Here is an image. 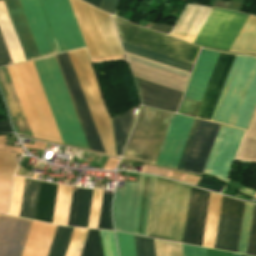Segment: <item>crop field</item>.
<instances>
[{"label": "crop field", "mask_w": 256, "mask_h": 256, "mask_svg": "<svg viewBox=\"0 0 256 256\" xmlns=\"http://www.w3.org/2000/svg\"><path fill=\"white\" fill-rule=\"evenodd\" d=\"M228 3H229V2H227V1L217 0V1L214 2V5H213V6L226 9Z\"/></svg>", "instance_id": "25e5ab78"}, {"label": "crop field", "mask_w": 256, "mask_h": 256, "mask_svg": "<svg viewBox=\"0 0 256 256\" xmlns=\"http://www.w3.org/2000/svg\"><path fill=\"white\" fill-rule=\"evenodd\" d=\"M17 154L0 150V213L7 214L12 175Z\"/></svg>", "instance_id": "92a150f3"}, {"label": "crop field", "mask_w": 256, "mask_h": 256, "mask_svg": "<svg viewBox=\"0 0 256 256\" xmlns=\"http://www.w3.org/2000/svg\"><path fill=\"white\" fill-rule=\"evenodd\" d=\"M73 228L57 227L48 256H64Z\"/></svg>", "instance_id": "d3111659"}, {"label": "crop field", "mask_w": 256, "mask_h": 256, "mask_svg": "<svg viewBox=\"0 0 256 256\" xmlns=\"http://www.w3.org/2000/svg\"><path fill=\"white\" fill-rule=\"evenodd\" d=\"M171 29H172L171 26L160 25V24H156L155 27H154V30H157V31L162 32L164 34H169Z\"/></svg>", "instance_id": "d23c7cc5"}, {"label": "crop field", "mask_w": 256, "mask_h": 256, "mask_svg": "<svg viewBox=\"0 0 256 256\" xmlns=\"http://www.w3.org/2000/svg\"><path fill=\"white\" fill-rule=\"evenodd\" d=\"M72 187L58 185L52 223L67 225Z\"/></svg>", "instance_id": "eef30255"}, {"label": "crop field", "mask_w": 256, "mask_h": 256, "mask_svg": "<svg viewBox=\"0 0 256 256\" xmlns=\"http://www.w3.org/2000/svg\"><path fill=\"white\" fill-rule=\"evenodd\" d=\"M84 1H86V2H88V3H90V4H92V5H94V6H96V7H99L100 2H101V0H84Z\"/></svg>", "instance_id": "73cf0c24"}, {"label": "crop field", "mask_w": 256, "mask_h": 256, "mask_svg": "<svg viewBox=\"0 0 256 256\" xmlns=\"http://www.w3.org/2000/svg\"><path fill=\"white\" fill-rule=\"evenodd\" d=\"M252 208H253V205L246 203L241 237H240V243H239V249H238V252L244 253V254L246 251ZM246 254L256 255V206L255 205L253 208V214H252V220H251L250 233H249Z\"/></svg>", "instance_id": "a9b5d70f"}, {"label": "crop field", "mask_w": 256, "mask_h": 256, "mask_svg": "<svg viewBox=\"0 0 256 256\" xmlns=\"http://www.w3.org/2000/svg\"><path fill=\"white\" fill-rule=\"evenodd\" d=\"M31 222L0 214V256H21Z\"/></svg>", "instance_id": "cbeb9de0"}, {"label": "crop field", "mask_w": 256, "mask_h": 256, "mask_svg": "<svg viewBox=\"0 0 256 256\" xmlns=\"http://www.w3.org/2000/svg\"><path fill=\"white\" fill-rule=\"evenodd\" d=\"M5 3L26 59L29 60L40 57L19 0H5Z\"/></svg>", "instance_id": "bc2a9ffb"}, {"label": "crop field", "mask_w": 256, "mask_h": 256, "mask_svg": "<svg viewBox=\"0 0 256 256\" xmlns=\"http://www.w3.org/2000/svg\"><path fill=\"white\" fill-rule=\"evenodd\" d=\"M24 179L14 177L8 213L19 216Z\"/></svg>", "instance_id": "1d83c4d3"}, {"label": "crop field", "mask_w": 256, "mask_h": 256, "mask_svg": "<svg viewBox=\"0 0 256 256\" xmlns=\"http://www.w3.org/2000/svg\"><path fill=\"white\" fill-rule=\"evenodd\" d=\"M220 53L201 49L182 98L201 102ZM235 55L221 53L195 117L211 120Z\"/></svg>", "instance_id": "34b2d1b8"}, {"label": "crop field", "mask_w": 256, "mask_h": 256, "mask_svg": "<svg viewBox=\"0 0 256 256\" xmlns=\"http://www.w3.org/2000/svg\"><path fill=\"white\" fill-rule=\"evenodd\" d=\"M189 190L157 177L147 236L182 242Z\"/></svg>", "instance_id": "412701ff"}, {"label": "crop field", "mask_w": 256, "mask_h": 256, "mask_svg": "<svg viewBox=\"0 0 256 256\" xmlns=\"http://www.w3.org/2000/svg\"><path fill=\"white\" fill-rule=\"evenodd\" d=\"M199 179H200L199 176H194V175L187 174L185 179H184V182H188V183L197 185ZM198 186L205 187V188L215 190V191H218V192H221V190L223 189V186L217 184L213 179L204 178V177H201V179L198 183Z\"/></svg>", "instance_id": "b80d0937"}, {"label": "crop field", "mask_w": 256, "mask_h": 256, "mask_svg": "<svg viewBox=\"0 0 256 256\" xmlns=\"http://www.w3.org/2000/svg\"><path fill=\"white\" fill-rule=\"evenodd\" d=\"M11 63H12L11 59L9 57L2 35L0 33V66L11 64Z\"/></svg>", "instance_id": "b54c1fbb"}, {"label": "crop field", "mask_w": 256, "mask_h": 256, "mask_svg": "<svg viewBox=\"0 0 256 256\" xmlns=\"http://www.w3.org/2000/svg\"><path fill=\"white\" fill-rule=\"evenodd\" d=\"M233 256H240V255H238V254H234V253H233Z\"/></svg>", "instance_id": "89e229c0"}, {"label": "crop field", "mask_w": 256, "mask_h": 256, "mask_svg": "<svg viewBox=\"0 0 256 256\" xmlns=\"http://www.w3.org/2000/svg\"><path fill=\"white\" fill-rule=\"evenodd\" d=\"M102 192L94 189L88 227L97 228Z\"/></svg>", "instance_id": "0bd39190"}, {"label": "crop field", "mask_w": 256, "mask_h": 256, "mask_svg": "<svg viewBox=\"0 0 256 256\" xmlns=\"http://www.w3.org/2000/svg\"><path fill=\"white\" fill-rule=\"evenodd\" d=\"M135 109V108H134ZM134 109L112 119L117 155H122L134 117Z\"/></svg>", "instance_id": "4177f3b9"}, {"label": "crop field", "mask_w": 256, "mask_h": 256, "mask_svg": "<svg viewBox=\"0 0 256 256\" xmlns=\"http://www.w3.org/2000/svg\"><path fill=\"white\" fill-rule=\"evenodd\" d=\"M220 199L221 196L210 193L202 246L213 248ZM244 206V202L222 196L219 215L242 221ZM241 224L219 216L214 248L237 252Z\"/></svg>", "instance_id": "dd49c442"}, {"label": "crop field", "mask_w": 256, "mask_h": 256, "mask_svg": "<svg viewBox=\"0 0 256 256\" xmlns=\"http://www.w3.org/2000/svg\"><path fill=\"white\" fill-rule=\"evenodd\" d=\"M211 10L209 7L187 5L170 35L193 43Z\"/></svg>", "instance_id": "4a817a6b"}, {"label": "crop field", "mask_w": 256, "mask_h": 256, "mask_svg": "<svg viewBox=\"0 0 256 256\" xmlns=\"http://www.w3.org/2000/svg\"><path fill=\"white\" fill-rule=\"evenodd\" d=\"M93 189H83L77 226L87 227Z\"/></svg>", "instance_id": "120bbe31"}, {"label": "crop field", "mask_w": 256, "mask_h": 256, "mask_svg": "<svg viewBox=\"0 0 256 256\" xmlns=\"http://www.w3.org/2000/svg\"><path fill=\"white\" fill-rule=\"evenodd\" d=\"M173 115L142 106L123 156L155 164Z\"/></svg>", "instance_id": "e52e79f7"}, {"label": "crop field", "mask_w": 256, "mask_h": 256, "mask_svg": "<svg viewBox=\"0 0 256 256\" xmlns=\"http://www.w3.org/2000/svg\"><path fill=\"white\" fill-rule=\"evenodd\" d=\"M13 132L9 123L0 122V133Z\"/></svg>", "instance_id": "425ffa30"}, {"label": "crop field", "mask_w": 256, "mask_h": 256, "mask_svg": "<svg viewBox=\"0 0 256 256\" xmlns=\"http://www.w3.org/2000/svg\"><path fill=\"white\" fill-rule=\"evenodd\" d=\"M57 185L40 181L34 219L51 223Z\"/></svg>", "instance_id": "00972430"}, {"label": "crop field", "mask_w": 256, "mask_h": 256, "mask_svg": "<svg viewBox=\"0 0 256 256\" xmlns=\"http://www.w3.org/2000/svg\"><path fill=\"white\" fill-rule=\"evenodd\" d=\"M135 81L143 104L176 112L182 92L138 78Z\"/></svg>", "instance_id": "733c2abd"}, {"label": "crop field", "mask_w": 256, "mask_h": 256, "mask_svg": "<svg viewBox=\"0 0 256 256\" xmlns=\"http://www.w3.org/2000/svg\"><path fill=\"white\" fill-rule=\"evenodd\" d=\"M219 126L218 124L199 121L181 170L202 173Z\"/></svg>", "instance_id": "d1516ede"}, {"label": "crop field", "mask_w": 256, "mask_h": 256, "mask_svg": "<svg viewBox=\"0 0 256 256\" xmlns=\"http://www.w3.org/2000/svg\"><path fill=\"white\" fill-rule=\"evenodd\" d=\"M122 45L126 52L136 54V55H139L154 61H158L176 68H180L189 72L191 71V68L193 66L192 64H189V63H186V62H183L159 53H155V52H152V51H149L125 42H122Z\"/></svg>", "instance_id": "730fd06b"}, {"label": "crop field", "mask_w": 256, "mask_h": 256, "mask_svg": "<svg viewBox=\"0 0 256 256\" xmlns=\"http://www.w3.org/2000/svg\"><path fill=\"white\" fill-rule=\"evenodd\" d=\"M58 52L85 47L68 0H39Z\"/></svg>", "instance_id": "3316defc"}, {"label": "crop field", "mask_w": 256, "mask_h": 256, "mask_svg": "<svg viewBox=\"0 0 256 256\" xmlns=\"http://www.w3.org/2000/svg\"><path fill=\"white\" fill-rule=\"evenodd\" d=\"M40 56L56 54L57 49L38 0H20Z\"/></svg>", "instance_id": "5142ce71"}, {"label": "crop field", "mask_w": 256, "mask_h": 256, "mask_svg": "<svg viewBox=\"0 0 256 256\" xmlns=\"http://www.w3.org/2000/svg\"><path fill=\"white\" fill-rule=\"evenodd\" d=\"M39 181L25 179L20 216L33 219Z\"/></svg>", "instance_id": "ae1a2a85"}, {"label": "crop field", "mask_w": 256, "mask_h": 256, "mask_svg": "<svg viewBox=\"0 0 256 256\" xmlns=\"http://www.w3.org/2000/svg\"><path fill=\"white\" fill-rule=\"evenodd\" d=\"M242 256H244V255H242Z\"/></svg>", "instance_id": "dbb93151"}, {"label": "crop field", "mask_w": 256, "mask_h": 256, "mask_svg": "<svg viewBox=\"0 0 256 256\" xmlns=\"http://www.w3.org/2000/svg\"><path fill=\"white\" fill-rule=\"evenodd\" d=\"M193 120L192 118L174 115L156 164L176 168Z\"/></svg>", "instance_id": "22f410ed"}, {"label": "crop field", "mask_w": 256, "mask_h": 256, "mask_svg": "<svg viewBox=\"0 0 256 256\" xmlns=\"http://www.w3.org/2000/svg\"><path fill=\"white\" fill-rule=\"evenodd\" d=\"M8 67L34 136L63 144L33 62Z\"/></svg>", "instance_id": "f4fd0767"}, {"label": "crop field", "mask_w": 256, "mask_h": 256, "mask_svg": "<svg viewBox=\"0 0 256 256\" xmlns=\"http://www.w3.org/2000/svg\"><path fill=\"white\" fill-rule=\"evenodd\" d=\"M105 153L114 154L111 117L85 49L67 53ZM66 53L56 55L59 68L91 150L103 152ZM103 152V153H104Z\"/></svg>", "instance_id": "8a807250"}, {"label": "crop field", "mask_w": 256, "mask_h": 256, "mask_svg": "<svg viewBox=\"0 0 256 256\" xmlns=\"http://www.w3.org/2000/svg\"><path fill=\"white\" fill-rule=\"evenodd\" d=\"M33 62L63 143L89 149L55 57Z\"/></svg>", "instance_id": "ac0d7876"}, {"label": "crop field", "mask_w": 256, "mask_h": 256, "mask_svg": "<svg viewBox=\"0 0 256 256\" xmlns=\"http://www.w3.org/2000/svg\"><path fill=\"white\" fill-rule=\"evenodd\" d=\"M118 3H119V0H102L99 8L114 14Z\"/></svg>", "instance_id": "5d738f31"}, {"label": "crop field", "mask_w": 256, "mask_h": 256, "mask_svg": "<svg viewBox=\"0 0 256 256\" xmlns=\"http://www.w3.org/2000/svg\"><path fill=\"white\" fill-rule=\"evenodd\" d=\"M255 198H256V195H255Z\"/></svg>", "instance_id": "1f2cbd36"}, {"label": "crop field", "mask_w": 256, "mask_h": 256, "mask_svg": "<svg viewBox=\"0 0 256 256\" xmlns=\"http://www.w3.org/2000/svg\"><path fill=\"white\" fill-rule=\"evenodd\" d=\"M112 194L103 193L98 228L112 230L110 219V202Z\"/></svg>", "instance_id": "028f5c9d"}, {"label": "crop field", "mask_w": 256, "mask_h": 256, "mask_svg": "<svg viewBox=\"0 0 256 256\" xmlns=\"http://www.w3.org/2000/svg\"><path fill=\"white\" fill-rule=\"evenodd\" d=\"M89 229L74 228L65 256H80Z\"/></svg>", "instance_id": "750c4746"}, {"label": "crop field", "mask_w": 256, "mask_h": 256, "mask_svg": "<svg viewBox=\"0 0 256 256\" xmlns=\"http://www.w3.org/2000/svg\"><path fill=\"white\" fill-rule=\"evenodd\" d=\"M56 227L33 221L22 256H47Z\"/></svg>", "instance_id": "214f88e0"}, {"label": "crop field", "mask_w": 256, "mask_h": 256, "mask_svg": "<svg viewBox=\"0 0 256 256\" xmlns=\"http://www.w3.org/2000/svg\"><path fill=\"white\" fill-rule=\"evenodd\" d=\"M154 242L156 256H182L180 244L156 239Z\"/></svg>", "instance_id": "d32e631a"}, {"label": "crop field", "mask_w": 256, "mask_h": 256, "mask_svg": "<svg viewBox=\"0 0 256 256\" xmlns=\"http://www.w3.org/2000/svg\"><path fill=\"white\" fill-rule=\"evenodd\" d=\"M122 41L194 63L200 47L112 17Z\"/></svg>", "instance_id": "5a996713"}, {"label": "crop field", "mask_w": 256, "mask_h": 256, "mask_svg": "<svg viewBox=\"0 0 256 256\" xmlns=\"http://www.w3.org/2000/svg\"><path fill=\"white\" fill-rule=\"evenodd\" d=\"M198 121H199V120H197V119L194 120V123H193V125H192V128H191V131H190V133H189L188 139H187V141H186L185 147H184V149H183L182 155H181V157H180L179 163H178L177 168H176V169H178V170L181 169V166H182V164H183L184 158H185V156H186L187 150H188V148H189V145H190V142H191V140H192L193 134H194V132H195L196 126H197V124H198Z\"/></svg>", "instance_id": "03da06ac"}, {"label": "crop field", "mask_w": 256, "mask_h": 256, "mask_svg": "<svg viewBox=\"0 0 256 256\" xmlns=\"http://www.w3.org/2000/svg\"><path fill=\"white\" fill-rule=\"evenodd\" d=\"M0 30L12 62L26 60L3 0H0Z\"/></svg>", "instance_id": "dafd665d"}, {"label": "crop field", "mask_w": 256, "mask_h": 256, "mask_svg": "<svg viewBox=\"0 0 256 256\" xmlns=\"http://www.w3.org/2000/svg\"><path fill=\"white\" fill-rule=\"evenodd\" d=\"M248 15L213 8L194 44L229 51Z\"/></svg>", "instance_id": "28ad6ade"}, {"label": "crop field", "mask_w": 256, "mask_h": 256, "mask_svg": "<svg viewBox=\"0 0 256 256\" xmlns=\"http://www.w3.org/2000/svg\"><path fill=\"white\" fill-rule=\"evenodd\" d=\"M181 247L183 256H207L206 248L183 244H181Z\"/></svg>", "instance_id": "c21b1889"}, {"label": "crop field", "mask_w": 256, "mask_h": 256, "mask_svg": "<svg viewBox=\"0 0 256 256\" xmlns=\"http://www.w3.org/2000/svg\"><path fill=\"white\" fill-rule=\"evenodd\" d=\"M82 189L73 191L68 225L76 226Z\"/></svg>", "instance_id": "c035e120"}, {"label": "crop field", "mask_w": 256, "mask_h": 256, "mask_svg": "<svg viewBox=\"0 0 256 256\" xmlns=\"http://www.w3.org/2000/svg\"><path fill=\"white\" fill-rule=\"evenodd\" d=\"M116 234L120 256H136L133 235L118 232Z\"/></svg>", "instance_id": "5866460e"}, {"label": "crop field", "mask_w": 256, "mask_h": 256, "mask_svg": "<svg viewBox=\"0 0 256 256\" xmlns=\"http://www.w3.org/2000/svg\"><path fill=\"white\" fill-rule=\"evenodd\" d=\"M81 256H103L99 230H89Z\"/></svg>", "instance_id": "bd1437ed"}, {"label": "crop field", "mask_w": 256, "mask_h": 256, "mask_svg": "<svg viewBox=\"0 0 256 256\" xmlns=\"http://www.w3.org/2000/svg\"><path fill=\"white\" fill-rule=\"evenodd\" d=\"M208 196L191 187L183 242L201 246Z\"/></svg>", "instance_id": "d9b57169"}, {"label": "crop field", "mask_w": 256, "mask_h": 256, "mask_svg": "<svg viewBox=\"0 0 256 256\" xmlns=\"http://www.w3.org/2000/svg\"><path fill=\"white\" fill-rule=\"evenodd\" d=\"M91 57L124 54L108 14L69 0Z\"/></svg>", "instance_id": "d8731c3e"}, {"label": "crop field", "mask_w": 256, "mask_h": 256, "mask_svg": "<svg viewBox=\"0 0 256 256\" xmlns=\"http://www.w3.org/2000/svg\"><path fill=\"white\" fill-rule=\"evenodd\" d=\"M134 238L137 256H155L153 239L136 235Z\"/></svg>", "instance_id": "e1f06a70"}]
</instances>
